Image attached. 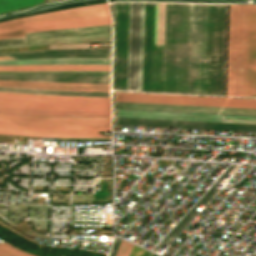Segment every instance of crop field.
<instances>
[{
	"label": "crop field",
	"instance_id": "crop-field-15",
	"mask_svg": "<svg viewBox=\"0 0 256 256\" xmlns=\"http://www.w3.org/2000/svg\"><path fill=\"white\" fill-rule=\"evenodd\" d=\"M97 131L110 130H63L0 126V134L2 135L67 138H111V136H102L101 134H97Z\"/></svg>",
	"mask_w": 256,
	"mask_h": 256
},
{
	"label": "crop field",
	"instance_id": "crop-field-20",
	"mask_svg": "<svg viewBox=\"0 0 256 256\" xmlns=\"http://www.w3.org/2000/svg\"><path fill=\"white\" fill-rule=\"evenodd\" d=\"M0 91L39 93V94H56V95L110 97V93H98V92H72V91H53V90H36V89H16V88H0Z\"/></svg>",
	"mask_w": 256,
	"mask_h": 256
},
{
	"label": "crop field",
	"instance_id": "crop-field-13",
	"mask_svg": "<svg viewBox=\"0 0 256 256\" xmlns=\"http://www.w3.org/2000/svg\"><path fill=\"white\" fill-rule=\"evenodd\" d=\"M115 109L256 116V110L115 102Z\"/></svg>",
	"mask_w": 256,
	"mask_h": 256
},
{
	"label": "crop field",
	"instance_id": "crop-field-11",
	"mask_svg": "<svg viewBox=\"0 0 256 256\" xmlns=\"http://www.w3.org/2000/svg\"><path fill=\"white\" fill-rule=\"evenodd\" d=\"M26 42L24 37L0 40V45ZM14 59L54 58V57H83V58H111V49H63L39 50L0 53Z\"/></svg>",
	"mask_w": 256,
	"mask_h": 256
},
{
	"label": "crop field",
	"instance_id": "crop-field-25",
	"mask_svg": "<svg viewBox=\"0 0 256 256\" xmlns=\"http://www.w3.org/2000/svg\"><path fill=\"white\" fill-rule=\"evenodd\" d=\"M147 253H148L147 251L134 245L130 256H147ZM148 256H156V255L149 252Z\"/></svg>",
	"mask_w": 256,
	"mask_h": 256
},
{
	"label": "crop field",
	"instance_id": "crop-field-6",
	"mask_svg": "<svg viewBox=\"0 0 256 256\" xmlns=\"http://www.w3.org/2000/svg\"><path fill=\"white\" fill-rule=\"evenodd\" d=\"M248 5H230L226 96L244 97Z\"/></svg>",
	"mask_w": 256,
	"mask_h": 256
},
{
	"label": "crop field",
	"instance_id": "crop-field-26",
	"mask_svg": "<svg viewBox=\"0 0 256 256\" xmlns=\"http://www.w3.org/2000/svg\"><path fill=\"white\" fill-rule=\"evenodd\" d=\"M24 36L22 30L0 33V39Z\"/></svg>",
	"mask_w": 256,
	"mask_h": 256
},
{
	"label": "crop field",
	"instance_id": "crop-field-2",
	"mask_svg": "<svg viewBox=\"0 0 256 256\" xmlns=\"http://www.w3.org/2000/svg\"><path fill=\"white\" fill-rule=\"evenodd\" d=\"M227 5L192 4L189 94L223 96Z\"/></svg>",
	"mask_w": 256,
	"mask_h": 256
},
{
	"label": "crop field",
	"instance_id": "crop-field-19",
	"mask_svg": "<svg viewBox=\"0 0 256 256\" xmlns=\"http://www.w3.org/2000/svg\"><path fill=\"white\" fill-rule=\"evenodd\" d=\"M111 66L99 65H29L0 66V71H37V70H100L110 71Z\"/></svg>",
	"mask_w": 256,
	"mask_h": 256
},
{
	"label": "crop field",
	"instance_id": "crop-field-4",
	"mask_svg": "<svg viewBox=\"0 0 256 256\" xmlns=\"http://www.w3.org/2000/svg\"><path fill=\"white\" fill-rule=\"evenodd\" d=\"M0 96L110 100V98L99 97L56 96L10 92H0ZM22 97H0V113L33 116L111 118L110 101Z\"/></svg>",
	"mask_w": 256,
	"mask_h": 256
},
{
	"label": "crop field",
	"instance_id": "crop-field-8",
	"mask_svg": "<svg viewBox=\"0 0 256 256\" xmlns=\"http://www.w3.org/2000/svg\"><path fill=\"white\" fill-rule=\"evenodd\" d=\"M115 101L256 109V100L114 93Z\"/></svg>",
	"mask_w": 256,
	"mask_h": 256
},
{
	"label": "crop field",
	"instance_id": "crop-field-1",
	"mask_svg": "<svg viewBox=\"0 0 256 256\" xmlns=\"http://www.w3.org/2000/svg\"><path fill=\"white\" fill-rule=\"evenodd\" d=\"M115 18L112 89L126 91L130 2L111 4ZM155 3H131L127 91L161 93L163 44H153ZM165 3H156L154 43H163Z\"/></svg>",
	"mask_w": 256,
	"mask_h": 256
},
{
	"label": "crop field",
	"instance_id": "crop-field-10",
	"mask_svg": "<svg viewBox=\"0 0 256 256\" xmlns=\"http://www.w3.org/2000/svg\"><path fill=\"white\" fill-rule=\"evenodd\" d=\"M115 117L256 124V117L115 110Z\"/></svg>",
	"mask_w": 256,
	"mask_h": 256
},
{
	"label": "crop field",
	"instance_id": "crop-field-14",
	"mask_svg": "<svg viewBox=\"0 0 256 256\" xmlns=\"http://www.w3.org/2000/svg\"><path fill=\"white\" fill-rule=\"evenodd\" d=\"M2 80L110 84V74H0Z\"/></svg>",
	"mask_w": 256,
	"mask_h": 256
},
{
	"label": "crop field",
	"instance_id": "crop-field-22",
	"mask_svg": "<svg viewBox=\"0 0 256 256\" xmlns=\"http://www.w3.org/2000/svg\"><path fill=\"white\" fill-rule=\"evenodd\" d=\"M11 246L6 243H0V256H33L29 253L17 250Z\"/></svg>",
	"mask_w": 256,
	"mask_h": 256
},
{
	"label": "crop field",
	"instance_id": "crop-field-7",
	"mask_svg": "<svg viewBox=\"0 0 256 256\" xmlns=\"http://www.w3.org/2000/svg\"><path fill=\"white\" fill-rule=\"evenodd\" d=\"M27 43L0 46V49L88 42H111V25L25 34Z\"/></svg>",
	"mask_w": 256,
	"mask_h": 256
},
{
	"label": "crop field",
	"instance_id": "crop-field-23",
	"mask_svg": "<svg viewBox=\"0 0 256 256\" xmlns=\"http://www.w3.org/2000/svg\"><path fill=\"white\" fill-rule=\"evenodd\" d=\"M132 246V244L122 240L116 256H128Z\"/></svg>",
	"mask_w": 256,
	"mask_h": 256
},
{
	"label": "crop field",
	"instance_id": "crop-field-5",
	"mask_svg": "<svg viewBox=\"0 0 256 256\" xmlns=\"http://www.w3.org/2000/svg\"><path fill=\"white\" fill-rule=\"evenodd\" d=\"M111 24L107 4H99L0 23V32L23 29L25 33Z\"/></svg>",
	"mask_w": 256,
	"mask_h": 256
},
{
	"label": "crop field",
	"instance_id": "crop-field-18",
	"mask_svg": "<svg viewBox=\"0 0 256 256\" xmlns=\"http://www.w3.org/2000/svg\"><path fill=\"white\" fill-rule=\"evenodd\" d=\"M29 64L111 65V59L54 58V59H29V60H0V65H29Z\"/></svg>",
	"mask_w": 256,
	"mask_h": 256
},
{
	"label": "crop field",
	"instance_id": "crop-field-17",
	"mask_svg": "<svg viewBox=\"0 0 256 256\" xmlns=\"http://www.w3.org/2000/svg\"><path fill=\"white\" fill-rule=\"evenodd\" d=\"M235 165H231L228 170L219 178V180L210 188V190L199 200V202L183 217V219L164 237V239L154 248V252H156L159 247L165 243V244H169L173 238L181 231L185 228V226L191 221V219L196 215V213L198 212L197 210H195L197 208V206L199 204L205 206L210 199L215 195V193L211 192L216 186L217 184L223 180L227 174L233 169ZM219 185V184H218ZM199 213V212H198ZM197 213V214H198Z\"/></svg>",
	"mask_w": 256,
	"mask_h": 256
},
{
	"label": "crop field",
	"instance_id": "crop-field-27",
	"mask_svg": "<svg viewBox=\"0 0 256 256\" xmlns=\"http://www.w3.org/2000/svg\"><path fill=\"white\" fill-rule=\"evenodd\" d=\"M120 240H121V239H119V238H117V237L115 238L114 244H113V247H112V250H111L109 256H115L116 251H117L118 246H119V243H120Z\"/></svg>",
	"mask_w": 256,
	"mask_h": 256
},
{
	"label": "crop field",
	"instance_id": "crop-field-9",
	"mask_svg": "<svg viewBox=\"0 0 256 256\" xmlns=\"http://www.w3.org/2000/svg\"><path fill=\"white\" fill-rule=\"evenodd\" d=\"M111 119L33 117L0 114V125L63 129H110Z\"/></svg>",
	"mask_w": 256,
	"mask_h": 256
},
{
	"label": "crop field",
	"instance_id": "crop-field-12",
	"mask_svg": "<svg viewBox=\"0 0 256 256\" xmlns=\"http://www.w3.org/2000/svg\"><path fill=\"white\" fill-rule=\"evenodd\" d=\"M114 125H139V126L169 127V128H189V129H209V130L256 132V125H248V124H227V123H207V122H186V121L115 118Z\"/></svg>",
	"mask_w": 256,
	"mask_h": 256
},
{
	"label": "crop field",
	"instance_id": "crop-field-24",
	"mask_svg": "<svg viewBox=\"0 0 256 256\" xmlns=\"http://www.w3.org/2000/svg\"><path fill=\"white\" fill-rule=\"evenodd\" d=\"M57 72L110 73V72H100V71H37V72H0V73H57Z\"/></svg>",
	"mask_w": 256,
	"mask_h": 256
},
{
	"label": "crop field",
	"instance_id": "crop-field-16",
	"mask_svg": "<svg viewBox=\"0 0 256 256\" xmlns=\"http://www.w3.org/2000/svg\"><path fill=\"white\" fill-rule=\"evenodd\" d=\"M245 97L256 98V5H249Z\"/></svg>",
	"mask_w": 256,
	"mask_h": 256
},
{
	"label": "crop field",
	"instance_id": "crop-field-3",
	"mask_svg": "<svg viewBox=\"0 0 256 256\" xmlns=\"http://www.w3.org/2000/svg\"><path fill=\"white\" fill-rule=\"evenodd\" d=\"M191 4L166 3L162 93L188 94Z\"/></svg>",
	"mask_w": 256,
	"mask_h": 256
},
{
	"label": "crop field",
	"instance_id": "crop-field-21",
	"mask_svg": "<svg viewBox=\"0 0 256 256\" xmlns=\"http://www.w3.org/2000/svg\"><path fill=\"white\" fill-rule=\"evenodd\" d=\"M46 1L52 0H0V13L22 9Z\"/></svg>",
	"mask_w": 256,
	"mask_h": 256
}]
</instances>
